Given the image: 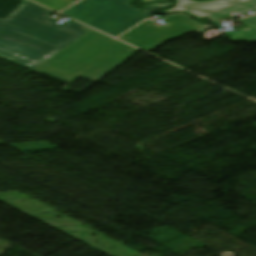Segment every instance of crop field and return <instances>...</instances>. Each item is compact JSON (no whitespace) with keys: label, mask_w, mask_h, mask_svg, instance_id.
Here are the masks:
<instances>
[{"label":"crop field","mask_w":256,"mask_h":256,"mask_svg":"<svg viewBox=\"0 0 256 256\" xmlns=\"http://www.w3.org/2000/svg\"><path fill=\"white\" fill-rule=\"evenodd\" d=\"M137 51L93 30L34 71L70 82L79 76L97 82Z\"/></svg>","instance_id":"crop-field-1"},{"label":"crop field","mask_w":256,"mask_h":256,"mask_svg":"<svg viewBox=\"0 0 256 256\" xmlns=\"http://www.w3.org/2000/svg\"><path fill=\"white\" fill-rule=\"evenodd\" d=\"M45 11L25 0L0 20V58L33 70L69 45L26 29Z\"/></svg>","instance_id":"crop-field-2"},{"label":"crop field","mask_w":256,"mask_h":256,"mask_svg":"<svg viewBox=\"0 0 256 256\" xmlns=\"http://www.w3.org/2000/svg\"><path fill=\"white\" fill-rule=\"evenodd\" d=\"M129 0H84L63 14L108 33L138 15Z\"/></svg>","instance_id":"crop-field-3"},{"label":"crop field","mask_w":256,"mask_h":256,"mask_svg":"<svg viewBox=\"0 0 256 256\" xmlns=\"http://www.w3.org/2000/svg\"><path fill=\"white\" fill-rule=\"evenodd\" d=\"M164 22L167 24L159 27L147 20L119 39L150 52L170 39L209 28L193 22L184 15L169 16Z\"/></svg>","instance_id":"crop-field-4"},{"label":"crop field","mask_w":256,"mask_h":256,"mask_svg":"<svg viewBox=\"0 0 256 256\" xmlns=\"http://www.w3.org/2000/svg\"><path fill=\"white\" fill-rule=\"evenodd\" d=\"M52 13L53 11L47 10L32 25H30L28 29L64 41L69 44L73 43L74 41H76L77 39H79L80 37L84 36L92 30L77 22H70L68 24L61 26L51 24V20L47 18Z\"/></svg>","instance_id":"crop-field-5"},{"label":"crop field","mask_w":256,"mask_h":256,"mask_svg":"<svg viewBox=\"0 0 256 256\" xmlns=\"http://www.w3.org/2000/svg\"><path fill=\"white\" fill-rule=\"evenodd\" d=\"M247 0H212L209 2H197L188 0H176L178 4L172 10L166 11L165 13H170L174 11H184L191 15L201 19L234 5L242 3Z\"/></svg>","instance_id":"crop-field-6"},{"label":"crop field","mask_w":256,"mask_h":256,"mask_svg":"<svg viewBox=\"0 0 256 256\" xmlns=\"http://www.w3.org/2000/svg\"><path fill=\"white\" fill-rule=\"evenodd\" d=\"M172 3H155L151 4L145 7V10L143 13L139 14L138 16L134 17L130 21L126 22L125 24L121 25L120 27L116 28L112 32L108 33L114 37L120 35L124 31L128 30L138 22L142 21L143 19L152 16L153 13H155L156 10H158L160 7L163 6H170Z\"/></svg>","instance_id":"crop-field-7"},{"label":"crop field","mask_w":256,"mask_h":256,"mask_svg":"<svg viewBox=\"0 0 256 256\" xmlns=\"http://www.w3.org/2000/svg\"><path fill=\"white\" fill-rule=\"evenodd\" d=\"M250 11H253V12L256 13V0H249L247 2H244L242 4L234 6L230 9H227L225 11H222L220 13L212 15L209 18L212 19V20H216V19L221 18V17H223L225 15H228L230 13L243 14V13L250 12Z\"/></svg>","instance_id":"crop-field-8"},{"label":"crop field","mask_w":256,"mask_h":256,"mask_svg":"<svg viewBox=\"0 0 256 256\" xmlns=\"http://www.w3.org/2000/svg\"><path fill=\"white\" fill-rule=\"evenodd\" d=\"M240 22L246 24L247 26L252 27L253 29L241 32L237 35H233L229 38H231L234 41H254L256 40V17L251 16L242 20H239Z\"/></svg>","instance_id":"crop-field-9"},{"label":"crop field","mask_w":256,"mask_h":256,"mask_svg":"<svg viewBox=\"0 0 256 256\" xmlns=\"http://www.w3.org/2000/svg\"><path fill=\"white\" fill-rule=\"evenodd\" d=\"M24 0H0V19L4 20Z\"/></svg>","instance_id":"crop-field-10"},{"label":"crop field","mask_w":256,"mask_h":256,"mask_svg":"<svg viewBox=\"0 0 256 256\" xmlns=\"http://www.w3.org/2000/svg\"><path fill=\"white\" fill-rule=\"evenodd\" d=\"M34 1L39 2L45 6H48L56 11H61L65 7L75 2L73 0H34Z\"/></svg>","instance_id":"crop-field-11"},{"label":"crop field","mask_w":256,"mask_h":256,"mask_svg":"<svg viewBox=\"0 0 256 256\" xmlns=\"http://www.w3.org/2000/svg\"><path fill=\"white\" fill-rule=\"evenodd\" d=\"M214 33L215 35L214 36H211V34ZM217 35H221V32H219L218 30L214 29L212 31H208L206 34H204V36L206 37V39H209V38H214L216 37Z\"/></svg>","instance_id":"crop-field-12"},{"label":"crop field","mask_w":256,"mask_h":256,"mask_svg":"<svg viewBox=\"0 0 256 256\" xmlns=\"http://www.w3.org/2000/svg\"><path fill=\"white\" fill-rule=\"evenodd\" d=\"M161 1V0H143V2Z\"/></svg>","instance_id":"crop-field-13"}]
</instances>
